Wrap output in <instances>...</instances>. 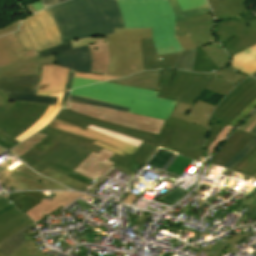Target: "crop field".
I'll return each instance as SVG.
<instances>
[{
  "instance_id": "crop-field-1",
  "label": "crop field",
  "mask_w": 256,
  "mask_h": 256,
  "mask_svg": "<svg viewBox=\"0 0 256 256\" xmlns=\"http://www.w3.org/2000/svg\"><path fill=\"white\" fill-rule=\"evenodd\" d=\"M115 34L98 36L72 42L73 48L96 43L103 39L110 48V75L128 76L142 70L171 68L180 56L171 53L157 56L151 29H114ZM158 58H162L159 61Z\"/></svg>"
},
{
  "instance_id": "crop-field-2",
  "label": "crop field",
  "mask_w": 256,
  "mask_h": 256,
  "mask_svg": "<svg viewBox=\"0 0 256 256\" xmlns=\"http://www.w3.org/2000/svg\"><path fill=\"white\" fill-rule=\"evenodd\" d=\"M56 25L60 41L114 33L124 28L116 0H70L45 9Z\"/></svg>"
},
{
  "instance_id": "crop-field-3",
  "label": "crop field",
  "mask_w": 256,
  "mask_h": 256,
  "mask_svg": "<svg viewBox=\"0 0 256 256\" xmlns=\"http://www.w3.org/2000/svg\"><path fill=\"white\" fill-rule=\"evenodd\" d=\"M214 76V73L162 70L157 97L179 101L171 117L208 128L210 124L208 115L215 106L197 98ZM189 110L192 112L189 113Z\"/></svg>"
},
{
  "instance_id": "crop-field-4",
  "label": "crop field",
  "mask_w": 256,
  "mask_h": 256,
  "mask_svg": "<svg viewBox=\"0 0 256 256\" xmlns=\"http://www.w3.org/2000/svg\"><path fill=\"white\" fill-rule=\"evenodd\" d=\"M126 28H152L157 54L183 51L174 33V13L167 0H117Z\"/></svg>"
},
{
  "instance_id": "crop-field-5",
  "label": "crop field",
  "mask_w": 256,
  "mask_h": 256,
  "mask_svg": "<svg viewBox=\"0 0 256 256\" xmlns=\"http://www.w3.org/2000/svg\"><path fill=\"white\" fill-rule=\"evenodd\" d=\"M247 0H208L215 17L214 33L234 55L256 44V16L244 9Z\"/></svg>"
},
{
  "instance_id": "crop-field-6",
  "label": "crop field",
  "mask_w": 256,
  "mask_h": 256,
  "mask_svg": "<svg viewBox=\"0 0 256 256\" xmlns=\"http://www.w3.org/2000/svg\"><path fill=\"white\" fill-rule=\"evenodd\" d=\"M158 92L99 83L73 89L71 94L106 101L111 104L130 108L129 112L166 120L173 111L176 101L156 98Z\"/></svg>"
},
{
  "instance_id": "crop-field-7",
  "label": "crop field",
  "mask_w": 256,
  "mask_h": 256,
  "mask_svg": "<svg viewBox=\"0 0 256 256\" xmlns=\"http://www.w3.org/2000/svg\"><path fill=\"white\" fill-rule=\"evenodd\" d=\"M56 119L80 126L87 127L92 124L110 131H114L117 133H121L127 136H131L134 138H138L143 140L142 145L134 152L132 156L125 154L123 157L115 154L109 161L115 162L122 166L128 167L131 161L142 165L149 155L153 152L158 144L168 146L172 140V128L167 126L162 127L159 134H152L145 131L130 129L126 127H122L116 124H112L106 121H102L96 118H92L86 115H82L76 112H72L66 109L60 110L59 114H57Z\"/></svg>"
},
{
  "instance_id": "crop-field-8",
  "label": "crop field",
  "mask_w": 256,
  "mask_h": 256,
  "mask_svg": "<svg viewBox=\"0 0 256 256\" xmlns=\"http://www.w3.org/2000/svg\"><path fill=\"white\" fill-rule=\"evenodd\" d=\"M254 99H256V79L248 77L237 85L210 115L211 127L205 142L206 150L216 135Z\"/></svg>"
},
{
  "instance_id": "crop-field-9",
  "label": "crop field",
  "mask_w": 256,
  "mask_h": 256,
  "mask_svg": "<svg viewBox=\"0 0 256 256\" xmlns=\"http://www.w3.org/2000/svg\"><path fill=\"white\" fill-rule=\"evenodd\" d=\"M47 108V105L20 101L14 106H2L0 131L15 139L41 118Z\"/></svg>"
},
{
  "instance_id": "crop-field-10",
  "label": "crop field",
  "mask_w": 256,
  "mask_h": 256,
  "mask_svg": "<svg viewBox=\"0 0 256 256\" xmlns=\"http://www.w3.org/2000/svg\"><path fill=\"white\" fill-rule=\"evenodd\" d=\"M65 108L86 114L92 117L103 119L126 127L137 128L158 134L164 120L150 118L142 115L125 113L116 110L104 109L96 106H89L70 102Z\"/></svg>"
},
{
  "instance_id": "crop-field-11",
  "label": "crop field",
  "mask_w": 256,
  "mask_h": 256,
  "mask_svg": "<svg viewBox=\"0 0 256 256\" xmlns=\"http://www.w3.org/2000/svg\"><path fill=\"white\" fill-rule=\"evenodd\" d=\"M39 75L9 77L0 79V89L10 100L38 102L55 105L58 98L35 94Z\"/></svg>"
},
{
  "instance_id": "crop-field-12",
  "label": "crop field",
  "mask_w": 256,
  "mask_h": 256,
  "mask_svg": "<svg viewBox=\"0 0 256 256\" xmlns=\"http://www.w3.org/2000/svg\"><path fill=\"white\" fill-rule=\"evenodd\" d=\"M23 22L38 52L61 44L53 21L44 10L24 19Z\"/></svg>"
},
{
  "instance_id": "crop-field-13",
  "label": "crop field",
  "mask_w": 256,
  "mask_h": 256,
  "mask_svg": "<svg viewBox=\"0 0 256 256\" xmlns=\"http://www.w3.org/2000/svg\"><path fill=\"white\" fill-rule=\"evenodd\" d=\"M24 193V195H22ZM71 192H53L56 197H50L48 201L46 196L37 192H17L9 195L16 206L35 223L46 217L41 213L57 204Z\"/></svg>"
},
{
  "instance_id": "crop-field-14",
  "label": "crop field",
  "mask_w": 256,
  "mask_h": 256,
  "mask_svg": "<svg viewBox=\"0 0 256 256\" xmlns=\"http://www.w3.org/2000/svg\"><path fill=\"white\" fill-rule=\"evenodd\" d=\"M1 182L17 189H63L70 190L60 184H57L45 177L38 175L26 165H21L12 173L2 172L0 174Z\"/></svg>"
},
{
  "instance_id": "crop-field-15",
  "label": "crop field",
  "mask_w": 256,
  "mask_h": 256,
  "mask_svg": "<svg viewBox=\"0 0 256 256\" xmlns=\"http://www.w3.org/2000/svg\"><path fill=\"white\" fill-rule=\"evenodd\" d=\"M48 126L93 139L95 140L94 144L107 150H110L114 153H117L121 156H123L125 153L132 155L133 152L137 149V147L135 146L114 139L112 137L106 136L104 134L98 133L96 131L90 130L88 128L83 129L56 119L49 123Z\"/></svg>"
},
{
  "instance_id": "crop-field-16",
  "label": "crop field",
  "mask_w": 256,
  "mask_h": 256,
  "mask_svg": "<svg viewBox=\"0 0 256 256\" xmlns=\"http://www.w3.org/2000/svg\"><path fill=\"white\" fill-rule=\"evenodd\" d=\"M165 125L175 128L170 150L186 154L196 159L205 153L203 148L205 135L167 122Z\"/></svg>"
},
{
  "instance_id": "crop-field-17",
  "label": "crop field",
  "mask_w": 256,
  "mask_h": 256,
  "mask_svg": "<svg viewBox=\"0 0 256 256\" xmlns=\"http://www.w3.org/2000/svg\"><path fill=\"white\" fill-rule=\"evenodd\" d=\"M90 154L91 152L89 151L63 143L38 163L30 167L39 173L56 161L74 170Z\"/></svg>"
},
{
  "instance_id": "crop-field-18",
  "label": "crop field",
  "mask_w": 256,
  "mask_h": 256,
  "mask_svg": "<svg viewBox=\"0 0 256 256\" xmlns=\"http://www.w3.org/2000/svg\"><path fill=\"white\" fill-rule=\"evenodd\" d=\"M69 70L59 65L41 66L38 94L49 95L65 90Z\"/></svg>"
},
{
  "instance_id": "crop-field-19",
  "label": "crop field",
  "mask_w": 256,
  "mask_h": 256,
  "mask_svg": "<svg viewBox=\"0 0 256 256\" xmlns=\"http://www.w3.org/2000/svg\"><path fill=\"white\" fill-rule=\"evenodd\" d=\"M36 50L24 52L15 33L0 38V66L37 57Z\"/></svg>"
},
{
  "instance_id": "crop-field-20",
  "label": "crop field",
  "mask_w": 256,
  "mask_h": 256,
  "mask_svg": "<svg viewBox=\"0 0 256 256\" xmlns=\"http://www.w3.org/2000/svg\"><path fill=\"white\" fill-rule=\"evenodd\" d=\"M113 155L114 153L105 149H102L98 154L92 153L74 171L96 181L114 165V163L107 161Z\"/></svg>"
},
{
  "instance_id": "crop-field-21",
  "label": "crop field",
  "mask_w": 256,
  "mask_h": 256,
  "mask_svg": "<svg viewBox=\"0 0 256 256\" xmlns=\"http://www.w3.org/2000/svg\"><path fill=\"white\" fill-rule=\"evenodd\" d=\"M89 47V46H88ZM87 46L54 55L56 64L78 72L90 73L92 58Z\"/></svg>"
},
{
  "instance_id": "crop-field-22",
  "label": "crop field",
  "mask_w": 256,
  "mask_h": 256,
  "mask_svg": "<svg viewBox=\"0 0 256 256\" xmlns=\"http://www.w3.org/2000/svg\"><path fill=\"white\" fill-rule=\"evenodd\" d=\"M253 137L252 134L236 130L218 150L211 163L224 166Z\"/></svg>"
},
{
  "instance_id": "crop-field-23",
  "label": "crop field",
  "mask_w": 256,
  "mask_h": 256,
  "mask_svg": "<svg viewBox=\"0 0 256 256\" xmlns=\"http://www.w3.org/2000/svg\"><path fill=\"white\" fill-rule=\"evenodd\" d=\"M215 73L214 79L207 86V90L217 92L221 95H226L237 85L246 75L237 73L229 67H225Z\"/></svg>"
},
{
  "instance_id": "crop-field-24",
  "label": "crop field",
  "mask_w": 256,
  "mask_h": 256,
  "mask_svg": "<svg viewBox=\"0 0 256 256\" xmlns=\"http://www.w3.org/2000/svg\"><path fill=\"white\" fill-rule=\"evenodd\" d=\"M32 223L18 209H13L0 217V242L18 230Z\"/></svg>"
},
{
  "instance_id": "crop-field-25",
  "label": "crop field",
  "mask_w": 256,
  "mask_h": 256,
  "mask_svg": "<svg viewBox=\"0 0 256 256\" xmlns=\"http://www.w3.org/2000/svg\"><path fill=\"white\" fill-rule=\"evenodd\" d=\"M161 70L140 72L121 80H110L106 82L118 83L123 85L147 88L151 90L158 89Z\"/></svg>"
},
{
  "instance_id": "crop-field-26",
  "label": "crop field",
  "mask_w": 256,
  "mask_h": 256,
  "mask_svg": "<svg viewBox=\"0 0 256 256\" xmlns=\"http://www.w3.org/2000/svg\"><path fill=\"white\" fill-rule=\"evenodd\" d=\"M39 133L46 136L59 139L65 143L98 153L102 148L92 144L93 140H89L83 137H79L73 134H69L51 127L46 126L44 129L39 131Z\"/></svg>"
},
{
  "instance_id": "crop-field-27",
  "label": "crop field",
  "mask_w": 256,
  "mask_h": 256,
  "mask_svg": "<svg viewBox=\"0 0 256 256\" xmlns=\"http://www.w3.org/2000/svg\"><path fill=\"white\" fill-rule=\"evenodd\" d=\"M231 67L241 73L252 74L256 71V45L231 56Z\"/></svg>"
},
{
  "instance_id": "crop-field-28",
  "label": "crop field",
  "mask_w": 256,
  "mask_h": 256,
  "mask_svg": "<svg viewBox=\"0 0 256 256\" xmlns=\"http://www.w3.org/2000/svg\"><path fill=\"white\" fill-rule=\"evenodd\" d=\"M213 25L175 29L176 36L188 34L194 45L201 47L217 41L212 32Z\"/></svg>"
},
{
  "instance_id": "crop-field-29",
  "label": "crop field",
  "mask_w": 256,
  "mask_h": 256,
  "mask_svg": "<svg viewBox=\"0 0 256 256\" xmlns=\"http://www.w3.org/2000/svg\"><path fill=\"white\" fill-rule=\"evenodd\" d=\"M90 52L93 57L92 73L107 74L109 62V48L107 44H103L102 40L97 44L89 45ZM98 49V51H95Z\"/></svg>"
},
{
  "instance_id": "crop-field-30",
  "label": "crop field",
  "mask_w": 256,
  "mask_h": 256,
  "mask_svg": "<svg viewBox=\"0 0 256 256\" xmlns=\"http://www.w3.org/2000/svg\"><path fill=\"white\" fill-rule=\"evenodd\" d=\"M212 69L215 71L219 68L200 48L192 50L189 69L186 71L213 72Z\"/></svg>"
},
{
  "instance_id": "crop-field-31",
  "label": "crop field",
  "mask_w": 256,
  "mask_h": 256,
  "mask_svg": "<svg viewBox=\"0 0 256 256\" xmlns=\"http://www.w3.org/2000/svg\"><path fill=\"white\" fill-rule=\"evenodd\" d=\"M63 93H58L50 96H56L59 97L58 102L56 106H49L47 111L45 112L44 116L39 119L30 129H28L26 132H24L22 135H20L16 140L23 141L31 134L37 132L39 129H41L43 126H45L52 118L53 116L60 110L61 107H59Z\"/></svg>"
},
{
  "instance_id": "crop-field-32",
  "label": "crop field",
  "mask_w": 256,
  "mask_h": 256,
  "mask_svg": "<svg viewBox=\"0 0 256 256\" xmlns=\"http://www.w3.org/2000/svg\"><path fill=\"white\" fill-rule=\"evenodd\" d=\"M34 226V223L28 225L27 227L23 228L22 230L18 231L14 235L10 236L6 240L0 243V252H2L4 255H9L11 252H13L15 249H17L19 246L24 244L27 240L23 234L24 231Z\"/></svg>"
},
{
  "instance_id": "crop-field-33",
  "label": "crop field",
  "mask_w": 256,
  "mask_h": 256,
  "mask_svg": "<svg viewBox=\"0 0 256 256\" xmlns=\"http://www.w3.org/2000/svg\"><path fill=\"white\" fill-rule=\"evenodd\" d=\"M231 170L253 177L256 174V147Z\"/></svg>"
},
{
  "instance_id": "crop-field-34",
  "label": "crop field",
  "mask_w": 256,
  "mask_h": 256,
  "mask_svg": "<svg viewBox=\"0 0 256 256\" xmlns=\"http://www.w3.org/2000/svg\"><path fill=\"white\" fill-rule=\"evenodd\" d=\"M221 68L229 61V56L217 41L201 48Z\"/></svg>"
},
{
  "instance_id": "crop-field-35",
  "label": "crop field",
  "mask_w": 256,
  "mask_h": 256,
  "mask_svg": "<svg viewBox=\"0 0 256 256\" xmlns=\"http://www.w3.org/2000/svg\"><path fill=\"white\" fill-rule=\"evenodd\" d=\"M48 64H55L53 55L41 60H39V58L37 57L21 63L0 67V73L21 70V69H28V68H36V67H40V65H48Z\"/></svg>"
},
{
  "instance_id": "crop-field-36",
  "label": "crop field",
  "mask_w": 256,
  "mask_h": 256,
  "mask_svg": "<svg viewBox=\"0 0 256 256\" xmlns=\"http://www.w3.org/2000/svg\"><path fill=\"white\" fill-rule=\"evenodd\" d=\"M169 2H170V5H171L174 13H175V22L183 21L189 17H193V16L211 12L209 9V6L182 12L176 0H169Z\"/></svg>"
},
{
  "instance_id": "crop-field-37",
  "label": "crop field",
  "mask_w": 256,
  "mask_h": 256,
  "mask_svg": "<svg viewBox=\"0 0 256 256\" xmlns=\"http://www.w3.org/2000/svg\"><path fill=\"white\" fill-rule=\"evenodd\" d=\"M46 136L36 133L23 141L17 147L12 149V153L15 154L18 158L21 157L25 152L30 150L32 147L37 145L40 141H42Z\"/></svg>"
},
{
  "instance_id": "crop-field-38",
  "label": "crop field",
  "mask_w": 256,
  "mask_h": 256,
  "mask_svg": "<svg viewBox=\"0 0 256 256\" xmlns=\"http://www.w3.org/2000/svg\"><path fill=\"white\" fill-rule=\"evenodd\" d=\"M214 24L212 14H205L187 19L184 22L175 23V28Z\"/></svg>"
},
{
  "instance_id": "crop-field-39",
  "label": "crop field",
  "mask_w": 256,
  "mask_h": 256,
  "mask_svg": "<svg viewBox=\"0 0 256 256\" xmlns=\"http://www.w3.org/2000/svg\"><path fill=\"white\" fill-rule=\"evenodd\" d=\"M35 247L33 240H29L9 256H43Z\"/></svg>"
},
{
  "instance_id": "crop-field-40",
  "label": "crop field",
  "mask_w": 256,
  "mask_h": 256,
  "mask_svg": "<svg viewBox=\"0 0 256 256\" xmlns=\"http://www.w3.org/2000/svg\"><path fill=\"white\" fill-rule=\"evenodd\" d=\"M69 100L79 102V103L89 104V105H96V106H101V107H105V108L121 110V111H125V112L128 111L127 108L111 105L106 102L94 100V99L82 98V97H77V96L71 95Z\"/></svg>"
},
{
  "instance_id": "crop-field-41",
  "label": "crop field",
  "mask_w": 256,
  "mask_h": 256,
  "mask_svg": "<svg viewBox=\"0 0 256 256\" xmlns=\"http://www.w3.org/2000/svg\"><path fill=\"white\" fill-rule=\"evenodd\" d=\"M251 232H246L245 234H238L235 237H232L231 239L225 241L224 243H217L215 246H213L210 250L207 251L208 254L213 255V256H217L219 253H221L223 251V249L225 247H227L228 245L232 246L233 244H235L236 242H238L240 239L246 237L248 234H250ZM214 252H216L215 254H213Z\"/></svg>"
},
{
  "instance_id": "crop-field-42",
  "label": "crop field",
  "mask_w": 256,
  "mask_h": 256,
  "mask_svg": "<svg viewBox=\"0 0 256 256\" xmlns=\"http://www.w3.org/2000/svg\"><path fill=\"white\" fill-rule=\"evenodd\" d=\"M255 146L256 136L240 152H238L224 167L231 169Z\"/></svg>"
},
{
  "instance_id": "crop-field-43",
  "label": "crop field",
  "mask_w": 256,
  "mask_h": 256,
  "mask_svg": "<svg viewBox=\"0 0 256 256\" xmlns=\"http://www.w3.org/2000/svg\"><path fill=\"white\" fill-rule=\"evenodd\" d=\"M88 128H91V129H93V130H96V131H99V132H101V133L107 134V135H109V136L115 137V138H117V139L123 140V141L128 142V143H130V144H132V145H135V146H137V147H139L140 144L142 143V141H140V140H138V139H134V138L127 137V136H124V135H121V134H117V133H114V132H110V131H107V130H104V129H101V128H98V127H95V126H92V125H90ZM91 129H90V130H91ZM99 132H98V133H99ZM107 135H106V136H107ZM115 138H114V139H115ZM123 141H122V142H123Z\"/></svg>"
},
{
  "instance_id": "crop-field-44",
  "label": "crop field",
  "mask_w": 256,
  "mask_h": 256,
  "mask_svg": "<svg viewBox=\"0 0 256 256\" xmlns=\"http://www.w3.org/2000/svg\"><path fill=\"white\" fill-rule=\"evenodd\" d=\"M16 34H17L25 51L35 48L24 25H23V22L21 23V29L16 31Z\"/></svg>"
},
{
  "instance_id": "crop-field-45",
  "label": "crop field",
  "mask_w": 256,
  "mask_h": 256,
  "mask_svg": "<svg viewBox=\"0 0 256 256\" xmlns=\"http://www.w3.org/2000/svg\"><path fill=\"white\" fill-rule=\"evenodd\" d=\"M233 129V127L226 126L214 139L212 145L206 151L210 156L216 150V148L220 145V143L224 140V138L228 135V133Z\"/></svg>"
},
{
  "instance_id": "crop-field-46",
  "label": "crop field",
  "mask_w": 256,
  "mask_h": 256,
  "mask_svg": "<svg viewBox=\"0 0 256 256\" xmlns=\"http://www.w3.org/2000/svg\"><path fill=\"white\" fill-rule=\"evenodd\" d=\"M71 48L72 47H71L70 41H67L63 45L46 49L44 51L39 52L38 54H39V58L41 59V58H44V57L52 55V54H58L60 52L66 51V50L71 49Z\"/></svg>"
},
{
  "instance_id": "crop-field-47",
  "label": "crop field",
  "mask_w": 256,
  "mask_h": 256,
  "mask_svg": "<svg viewBox=\"0 0 256 256\" xmlns=\"http://www.w3.org/2000/svg\"><path fill=\"white\" fill-rule=\"evenodd\" d=\"M183 11L208 5L206 0H178Z\"/></svg>"
},
{
  "instance_id": "crop-field-48",
  "label": "crop field",
  "mask_w": 256,
  "mask_h": 256,
  "mask_svg": "<svg viewBox=\"0 0 256 256\" xmlns=\"http://www.w3.org/2000/svg\"><path fill=\"white\" fill-rule=\"evenodd\" d=\"M167 122H170V123H173V124H176V125H180V126L195 130V131L203 133L205 135L208 132L207 128H204V127H201V126H198V125H193V124H190V123H187V122H184V121H180V120H177V119H174V118H171V117L168 118Z\"/></svg>"
},
{
  "instance_id": "crop-field-49",
  "label": "crop field",
  "mask_w": 256,
  "mask_h": 256,
  "mask_svg": "<svg viewBox=\"0 0 256 256\" xmlns=\"http://www.w3.org/2000/svg\"><path fill=\"white\" fill-rule=\"evenodd\" d=\"M190 54H191V50L182 52L181 56L179 57L178 61L174 65L173 69H181V70L187 69L189 65Z\"/></svg>"
},
{
  "instance_id": "crop-field-50",
  "label": "crop field",
  "mask_w": 256,
  "mask_h": 256,
  "mask_svg": "<svg viewBox=\"0 0 256 256\" xmlns=\"http://www.w3.org/2000/svg\"><path fill=\"white\" fill-rule=\"evenodd\" d=\"M73 77L91 79V80H99V81L121 78V77H112V76L95 75V74H84V73H78V72H75Z\"/></svg>"
},
{
  "instance_id": "crop-field-51",
  "label": "crop field",
  "mask_w": 256,
  "mask_h": 256,
  "mask_svg": "<svg viewBox=\"0 0 256 256\" xmlns=\"http://www.w3.org/2000/svg\"><path fill=\"white\" fill-rule=\"evenodd\" d=\"M256 107V100L253 101L234 121H232L229 126L235 127L240 123L254 108Z\"/></svg>"
},
{
  "instance_id": "crop-field-52",
  "label": "crop field",
  "mask_w": 256,
  "mask_h": 256,
  "mask_svg": "<svg viewBox=\"0 0 256 256\" xmlns=\"http://www.w3.org/2000/svg\"><path fill=\"white\" fill-rule=\"evenodd\" d=\"M28 74H39V68L0 74V78L1 77H9V76L28 75Z\"/></svg>"
},
{
  "instance_id": "crop-field-53",
  "label": "crop field",
  "mask_w": 256,
  "mask_h": 256,
  "mask_svg": "<svg viewBox=\"0 0 256 256\" xmlns=\"http://www.w3.org/2000/svg\"><path fill=\"white\" fill-rule=\"evenodd\" d=\"M177 39H178V41H179V43H180V45H181V47L183 48L184 51L190 50V49H195V46L191 42L188 35L179 36V37H177Z\"/></svg>"
},
{
  "instance_id": "crop-field-54",
  "label": "crop field",
  "mask_w": 256,
  "mask_h": 256,
  "mask_svg": "<svg viewBox=\"0 0 256 256\" xmlns=\"http://www.w3.org/2000/svg\"><path fill=\"white\" fill-rule=\"evenodd\" d=\"M19 21L14 22V23H12L10 25H7V26H5L3 28H0V36L17 30L19 28Z\"/></svg>"
},
{
  "instance_id": "crop-field-55",
  "label": "crop field",
  "mask_w": 256,
  "mask_h": 256,
  "mask_svg": "<svg viewBox=\"0 0 256 256\" xmlns=\"http://www.w3.org/2000/svg\"><path fill=\"white\" fill-rule=\"evenodd\" d=\"M96 82H99V81H91V80H84V79L73 78L72 87L71 88H75V87L81 86V85L96 83Z\"/></svg>"
},
{
  "instance_id": "crop-field-56",
  "label": "crop field",
  "mask_w": 256,
  "mask_h": 256,
  "mask_svg": "<svg viewBox=\"0 0 256 256\" xmlns=\"http://www.w3.org/2000/svg\"><path fill=\"white\" fill-rule=\"evenodd\" d=\"M15 101H10L5 94L0 90V106L13 105Z\"/></svg>"
},
{
  "instance_id": "crop-field-57",
  "label": "crop field",
  "mask_w": 256,
  "mask_h": 256,
  "mask_svg": "<svg viewBox=\"0 0 256 256\" xmlns=\"http://www.w3.org/2000/svg\"><path fill=\"white\" fill-rule=\"evenodd\" d=\"M150 215V213L144 212L134 225L141 227L144 224V222L149 218Z\"/></svg>"
},
{
  "instance_id": "crop-field-58",
  "label": "crop field",
  "mask_w": 256,
  "mask_h": 256,
  "mask_svg": "<svg viewBox=\"0 0 256 256\" xmlns=\"http://www.w3.org/2000/svg\"><path fill=\"white\" fill-rule=\"evenodd\" d=\"M253 201H254V199L248 197V198L241 204V206H240L239 208H237L234 212H236V211H237V212H241V211L243 210L242 208L247 207L248 205H251Z\"/></svg>"
},
{
  "instance_id": "crop-field-59",
  "label": "crop field",
  "mask_w": 256,
  "mask_h": 256,
  "mask_svg": "<svg viewBox=\"0 0 256 256\" xmlns=\"http://www.w3.org/2000/svg\"><path fill=\"white\" fill-rule=\"evenodd\" d=\"M255 118H256V112H255L251 117H249V118L239 127V129L245 130Z\"/></svg>"
},
{
  "instance_id": "crop-field-60",
  "label": "crop field",
  "mask_w": 256,
  "mask_h": 256,
  "mask_svg": "<svg viewBox=\"0 0 256 256\" xmlns=\"http://www.w3.org/2000/svg\"><path fill=\"white\" fill-rule=\"evenodd\" d=\"M11 202V200L8 198V196H4L0 199V209L6 207L7 205H9Z\"/></svg>"
},
{
  "instance_id": "crop-field-61",
  "label": "crop field",
  "mask_w": 256,
  "mask_h": 256,
  "mask_svg": "<svg viewBox=\"0 0 256 256\" xmlns=\"http://www.w3.org/2000/svg\"><path fill=\"white\" fill-rule=\"evenodd\" d=\"M44 7H49V6H52L54 4H57L59 2H62V1H65V0H41Z\"/></svg>"
},
{
  "instance_id": "crop-field-62",
  "label": "crop field",
  "mask_w": 256,
  "mask_h": 256,
  "mask_svg": "<svg viewBox=\"0 0 256 256\" xmlns=\"http://www.w3.org/2000/svg\"><path fill=\"white\" fill-rule=\"evenodd\" d=\"M74 71L70 70L69 72V76H68V82H67V86H66V90H70V86H71V80H72V76H73Z\"/></svg>"
},
{
  "instance_id": "crop-field-63",
  "label": "crop field",
  "mask_w": 256,
  "mask_h": 256,
  "mask_svg": "<svg viewBox=\"0 0 256 256\" xmlns=\"http://www.w3.org/2000/svg\"><path fill=\"white\" fill-rule=\"evenodd\" d=\"M32 5H33V7L35 8L36 12H38V11L44 9V7H43L41 1L36 2V3H33Z\"/></svg>"
},
{
  "instance_id": "crop-field-64",
  "label": "crop field",
  "mask_w": 256,
  "mask_h": 256,
  "mask_svg": "<svg viewBox=\"0 0 256 256\" xmlns=\"http://www.w3.org/2000/svg\"><path fill=\"white\" fill-rule=\"evenodd\" d=\"M69 92L70 91L64 93V96H63V99H62V102H61V105H60L61 107L65 106V104H66V102L68 100Z\"/></svg>"
},
{
  "instance_id": "crop-field-65",
  "label": "crop field",
  "mask_w": 256,
  "mask_h": 256,
  "mask_svg": "<svg viewBox=\"0 0 256 256\" xmlns=\"http://www.w3.org/2000/svg\"><path fill=\"white\" fill-rule=\"evenodd\" d=\"M13 208H15V207L12 203V204H10L9 206H7L6 208H4L3 210L0 211V216L4 213L8 212L9 210L13 209Z\"/></svg>"
},
{
  "instance_id": "crop-field-66",
  "label": "crop field",
  "mask_w": 256,
  "mask_h": 256,
  "mask_svg": "<svg viewBox=\"0 0 256 256\" xmlns=\"http://www.w3.org/2000/svg\"><path fill=\"white\" fill-rule=\"evenodd\" d=\"M137 199V197H133V196H128L127 199L124 201L125 203H129L132 204L135 200Z\"/></svg>"
},
{
  "instance_id": "crop-field-67",
  "label": "crop field",
  "mask_w": 256,
  "mask_h": 256,
  "mask_svg": "<svg viewBox=\"0 0 256 256\" xmlns=\"http://www.w3.org/2000/svg\"><path fill=\"white\" fill-rule=\"evenodd\" d=\"M0 146L6 148V149H8V150L11 149V148H13V147L9 146L8 144L4 143V142L1 141V140H0Z\"/></svg>"
},
{
  "instance_id": "crop-field-68",
  "label": "crop field",
  "mask_w": 256,
  "mask_h": 256,
  "mask_svg": "<svg viewBox=\"0 0 256 256\" xmlns=\"http://www.w3.org/2000/svg\"><path fill=\"white\" fill-rule=\"evenodd\" d=\"M255 126H256V119L252 122V124L246 130L250 132Z\"/></svg>"
},
{
  "instance_id": "crop-field-69",
  "label": "crop field",
  "mask_w": 256,
  "mask_h": 256,
  "mask_svg": "<svg viewBox=\"0 0 256 256\" xmlns=\"http://www.w3.org/2000/svg\"><path fill=\"white\" fill-rule=\"evenodd\" d=\"M31 14L36 13L31 4L26 5Z\"/></svg>"
},
{
  "instance_id": "crop-field-70",
  "label": "crop field",
  "mask_w": 256,
  "mask_h": 256,
  "mask_svg": "<svg viewBox=\"0 0 256 256\" xmlns=\"http://www.w3.org/2000/svg\"><path fill=\"white\" fill-rule=\"evenodd\" d=\"M251 133L256 134V127L251 131Z\"/></svg>"
},
{
  "instance_id": "crop-field-71",
  "label": "crop field",
  "mask_w": 256,
  "mask_h": 256,
  "mask_svg": "<svg viewBox=\"0 0 256 256\" xmlns=\"http://www.w3.org/2000/svg\"><path fill=\"white\" fill-rule=\"evenodd\" d=\"M3 151H5L4 149L0 148V153H2Z\"/></svg>"
},
{
  "instance_id": "crop-field-72",
  "label": "crop field",
  "mask_w": 256,
  "mask_h": 256,
  "mask_svg": "<svg viewBox=\"0 0 256 256\" xmlns=\"http://www.w3.org/2000/svg\"><path fill=\"white\" fill-rule=\"evenodd\" d=\"M251 76H254V77H256V72H255V73H253Z\"/></svg>"
},
{
  "instance_id": "crop-field-73",
  "label": "crop field",
  "mask_w": 256,
  "mask_h": 256,
  "mask_svg": "<svg viewBox=\"0 0 256 256\" xmlns=\"http://www.w3.org/2000/svg\"><path fill=\"white\" fill-rule=\"evenodd\" d=\"M0 256H4V255L0 253Z\"/></svg>"
},
{
  "instance_id": "crop-field-74",
  "label": "crop field",
  "mask_w": 256,
  "mask_h": 256,
  "mask_svg": "<svg viewBox=\"0 0 256 256\" xmlns=\"http://www.w3.org/2000/svg\"><path fill=\"white\" fill-rule=\"evenodd\" d=\"M253 178H256V175Z\"/></svg>"
},
{
  "instance_id": "crop-field-75",
  "label": "crop field",
  "mask_w": 256,
  "mask_h": 256,
  "mask_svg": "<svg viewBox=\"0 0 256 256\" xmlns=\"http://www.w3.org/2000/svg\"><path fill=\"white\" fill-rule=\"evenodd\" d=\"M2 196H4V195H2ZM2 196H0V198H1Z\"/></svg>"
},
{
  "instance_id": "crop-field-76",
  "label": "crop field",
  "mask_w": 256,
  "mask_h": 256,
  "mask_svg": "<svg viewBox=\"0 0 256 256\" xmlns=\"http://www.w3.org/2000/svg\"><path fill=\"white\" fill-rule=\"evenodd\" d=\"M2 172V170H0V173Z\"/></svg>"
},
{
  "instance_id": "crop-field-77",
  "label": "crop field",
  "mask_w": 256,
  "mask_h": 256,
  "mask_svg": "<svg viewBox=\"0 0 256 256\" xmlns=\"http://www.w3.org/2000/svg\"><path fill=\"white\" fill-rule=\"evenodd\" d=\"M4 153V152H3ZM1 155V154H0Z\"/></svg>"
}]
</instances>
